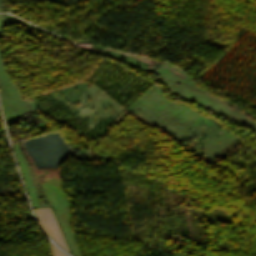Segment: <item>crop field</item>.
Masks as SVG:
<instances>
[{"label": "crop field", "mask_w": 256, "mask_h": 256, "mask_svg": "<svg viewBox=\"0 0 256 256\" xmlns=\"http://www.w3.org/2000/svg\"><path fill=\"white\" fill-rule=\"evenodd\" d=\"M51 247H52L53 256H67L66 254L61 252L59 249H57L52 243H51Z\"/></svg>", "instance_id": "2"}, {"label": "crop field", "mask_w": 256, "mask_h": 256, "mask_svg": "<svg viewBox=\"0 0 256 256\" xmlns=\"http://www.w3.org/2000/svg\"><path fill=\"white\" fill-rule=\"evenodd\" d=\"M34 211L40 225L43 227L46 233L53 240H55L57 243H59L63 248H65L68 251V248L65 244V241L57 225V222L55 220V217L52 213L51 208L48 207V208L36 209Z\"/></svg>", "instance_id": "1"}]
</instances>
